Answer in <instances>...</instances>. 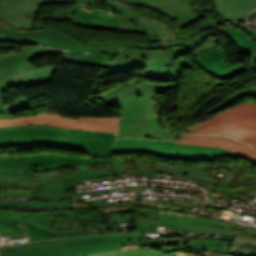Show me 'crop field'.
<instances>
[{
	"instance_id": "16",
	"label": "crop field",
	"mask_w": 256,
	"mask_h": 256,
	"mask_svg": "<svg viewBox=\"0 0 256 256\" xmlns=\"http://www.w3.org/2000/svg\"><path fill=\"white\" fill-rule=\"evenodd\" d=\"M224 22L242 21L256 7V0H213Z\"/></svg>"
},
{
	"instance_id": "45",
	"label": "crop field",
	"mask_w": 256,
	"mask_h": 256,
	"mask_svg": "<svg viewBox=\"0 0 256 256\" xmlns=\"http://www.w3.org/2000/svg\"><path fill=\"white\" fill-rule=\"evenodd\" d=\"M92 256H116V252L106 253V254H99V255H92Z\"/></svg>"
},
{
	"instance_id": "22",
	"label": "crop field",
	"mask_w": 256,
	"mask_h": 256,
	"mask_svg": "<svg viewBox=\"0 0 256 256\" xmlns=\"http://www.w3.org/2000/svg\"><path fill=\"white\" fill-rule=\"evenodd\" d=\"M158 215L159 211L136 208L135 232L156 231Z\"/></svg>"
},
{
	"instance_id": "34",
	"label": "crop field",
	"mask_w": 256,
	"mask_h": 256,
	"mask_svg": "<svg viewBox=\"0 0 256 256\" xmlns=\"http://www.w3.org/2000/svg\"><path fill=\"white\" fill-rule=\"evenodd\" d=\"M169 61H159V62H117L113 64H145L146 69H158L165 66Z\"/></svg>"
},
{
	"instance_id": "13",
	"label": "crop field",
	"mask_w": 256,
	"mask_h": 256,
	"mask_svg": "<svg viewBox=\"0 0 256 256\" xmlns=\"http://www.w3.org/2000/svg\"><path fill=\"white\" fill-rule=\"evenodd\" d=\"M194 58L201 68L214 77L225 74L233 77L248 68L239 62L231 65L228 61L226 53L219 47L210 49ZM239 67H242L243 69L234 73L236 68Z\"/></svg>"
},
{
	"instance_id": "10",
	"label": "crop field",
	"mask_w": 256,
	"mask_h": 256,
	"mask_svg": "<svg viewBox=\"0 0 256 256\" xmlns=\"http://www.w3.org/2000/svg\"><path fill=\"white\" fill-rule=\"evenodd\" d=\"M62 243L67 256L91 255L121 249L125 245H142V234H104L67 239L36 241L27 244L5 245L6 248Z\"/></svg>"
},
{
	"instance_id": "29",
	"label": "crop field",
	"mask_w": 256,
	"mask_h": 256,
	"mask_svg": "<svg viewBox=\"0 0 256 256\" xmlns=\"http://www.w3.org/2000/svg\"><path fill=\"white\" fill-rule=\"evenodd\" d=\"M0 205L14 206V207L72 206L71 203H67V202H21V201H10V200H0Z\"/></svg>"
},
{
	"instance_id": "19",
	"label": "crop field",
	"mask_w": 256,
	"mask_h": 256,
	"mask_svg": "<svg viewBox=\"0 0 256 256\" xmlns=\"http://www.w3.org/2000/svg\"><path fill=\"white\" fill-rule=\"evenodd\" d=\"M0 256H66L61 244H50L36 247L18 249H5L0 251Z\"/></svg>"
},
{
	"instance_id": "32",
	"label": "crop field",
	"mask_w": 256,
	"mask_h": 256,
	"mask_svg": "<svg viewBox=\"0 0 256 256\" xmlns=\"http://www.w3.org/2000/svg\"><path fill=\"white\" fill-rule=\"evenodd\" d=\"M152 9L182 2L184 0H136Z\"/></svg>"
},
{
	"instance_id": "5",
	"label": "crop field",
	"mask_w": 256,
	"mask_h": 256,
	"mask_svg": "<svg viewBox=\"0 0 256 256\" xmlns=\"http://www.w3.org/2000/svg\"><path fill=\"white\" fill-rule=\"evenodd\" d=\"M62 52L63 51L37 47L22 53L9 52L0 54V64L3 67L5 66L7 68L5 70L11 74L0 79V113L14 114L34 108L26 96L5 106L3 95L11 88L18 85L21 89H25L50 83L51 74L58 66H46L35 69L28 60L36 56L54 53L62 54Z\"/></svg>"
},
{
	"instance_id": "1",
	"label": "crop field",
	"mask_w": 256,
	"mask_h": 256,
	"mask_svg": "<svg viewBox=\"0 0 256 256\" xmlns=\"http://www.w3.org/2000/svg\"><path fill=\"white\" fill-rule=\"evenodd\" d=\"M61 3L74 4L69 0H0V33L25 39L31 44L79 52L116 53L124 47L106 41H86L61 30H31L41 5Z\"/></svg>"
},
{
	"instance_id": "6",
	"label": "crop field",
	"mask_w": 256,
	"mask_h": 256,
	"mask_svg": "<svg viewBox=\"0 0 256 256\" xmlns=\"http://www.w3.org/2000/svg\"><path fill=\"white\" fill-rule=\"evenodd\" d=\"M0 187L31 188L41 200H69V194L58 170L33 174L27 156L0 157Z\"/></svg>"
},
{
	"instance_id": "17",
	"label": "crop field",
	"mask_w": 256,
	"mask_h": 256,
	"mask_svg": "<svg viewBox=\"0 0 256 256\" xmlns=\"http://www.w3.org/2000/svg\"><path fill=\"white\" fill-rule=\"evenodd\" d=\"M207 33H198L187 39H180L176 41H171L164 44H156V45H140L139 48H147V49H167L171 60L188 52L199 43H201L204 38L209 34Z\"/></svg>"
},
{
	"instance_id": "31",
	"label": "crop field",
	"mask_w": 256,
	"mask_h": 256,
	"mask_svg": "<svg viewBox=\"0 0 256 256\" xmlns=\"http://www.w3.org/2000/svg\"><path fill=\"white\" fill-rule=\"evenodd\" d=\"M157 249L138 248L117 252V256H156Z\"/></svg>"
},
{
	"instance_id": "36",
	"label": "crop field",
	"mask_w": 256,
	"mask_h": 256,
	"mask_svg": "<svg viewBox=\"0 0 256 256\" xmlns=\"http://www.w3.org/2000/svg\"><path fill=\"white\" fill-rule=\"evenodd\" d=\"M151 136L158 138V139H170V140H176V138H177V135L170 133L161 128L156 130Z\"/></svg>"
},
{
	"instance_id": "9",
	"label": "crop field",
	"mask_w": 256,
	"mask_h": 256,
	"mask_svg": "<svg viewBox=\"0 0 256 256\" xmlns=\"http://www.w3.org/2000/svg\"><path fill=\"white\" fill-rule=\"evenodd\" d=\"M219 150L220 148L186 146L175 144V142L138 139H116L113 146V153H132L136 151L182 160H216Z\"/></svg>"
},
{
	"instance_id": "30",
	"label": "crop field",
	"mask_w": 256,
	"mask_h": 256,
	"mask_svg": "<svg viewBox=\"0 0 256 256\" xmlns=\"http://www.w3.org/2000/svg\"><path fill=\"white\" fill-rule=\"evenodd\" d=\"M218 40H220V38L217 34V30H214V32L206 39V41L203 44H201L200 46H198L196 49L192 51L193 57L210 48H213L219 45Z\"/></svg>"
},
{
	"instance_id": "4",
	"label": "crop field",
	"mask_w": 256,
	"mask_h": 256,
	"mask_svg": "<svg viewBox=\"0 0 256 256\" xmlns=\"http://www.w3.org/2000/svg\"><path fill=\"white\" fill-rule=\"evenodd\" d=\"M116 134L71 129L69 134L46 130L26 129L0 132V147L45 146L86 150L89 157H112L111 144ZM52 137V138H50Z\"/></svg>"
},
{
	"instance_id": "7",
	"label": "crop field",
	"mask_w": 256,
	"mask_h": 256,
	"mask_svg": "<svg viewBox=\"0 0 256 256\" xmlns=\"http://www.w3.org/2000/svg\"><path fill=\"white\" fill-rule=\"evenodd\" d=\"M0 221L27 223L32 241L85 234L77 222L74 210L43 214L0 212Z\"/></svg>"
},
{
	"instance_id": "28",
	"label": "crop field",
	"mask_w": 256,
	"mask_h": 256,
	"mask_svg": "<svg viewBox=\"0 0 256 256\" xmlns=\"http://www.w3.org/2000/svg\"><path fill=\"white\" fill-rule=\"evenodd\" d=\"M0 234L10 235L11 237L28 236V241L31 240L28 226L22 223L0 222Z\"/></svg>"
},
{
	"instance_id": "42",
	"label": "crop field",
	"mask_w": 256,
	"mask_h": 256,
	"mask_svg": "<svg viewBox=\"0 0 256 256\" xmlns=\"http://www.w3.org/2000/svg\"><path fill=\"white\" fill-rule=\"evenodd\" d=\"M251 69H253L256 72V52L252 54L251 56Z\"/></svg>"
},
{
	"instance_id": "26",
	"label": "crop field",
	"mask_w": 256,
	"mask_h": 256,
	"mask_svg": "<svg viewBox=\"0 0 256 256\" xmlns=\"http://www.w3.org/2000/svg\"><path fill=\"white\" fill-rule=\"evenodd\" d=\"M224 36L230 39L231 41L235 40V44L241 49L243 52L251 56V54L256 51V43L250 40L246 35L241 32L223 28L220 29Z\"/></svg>"
},
{
	"instance_id": "43",
	"label": "crop field",
	"mask_w": 256,
	"mask_h": 256,
	"mask_svg": "<svg viewBox=\"0 0 256 256\" xmlns=\"http://www.w3.org/2000/svg\"><path fill=\"white\" fill-rule=\"evenodd\" d=\"M73 1H76V2H79L81 4H84V5H88V6H93L89 0H73Z\"/></svg>"
},
{
	"instance_id": "2",
	"label": "crop field",
	"mask_w": 256,
	"mask_h": 256,
	"mask_svg": "<svg viewBox=\"0 0 256 256\" xmlns=\"http://www.w3.org/2000/svg\"><path fill=\"white\" fill-rule=\"evenodd\" d=\"M173 85L134 81L100 95L108 106L121 105L118 137L147 138L159 128V113H154L151 98L168 92Z\"/></svg>"
},
{
	"instance_id": "38",
	"label": "crop field",
	"mask_w": 256,
	"mask_h": 256,
	"mask_svg": "<svg viewBox=\"0 0 256 256\" xmlns=\"http://www.w3.org/2000/svg\"><path fill=\"white\" fill-rule=\"evenodd\" d=\"M219 156H233V157L244 158V159L249 160V161H256L255 159H252L250 157L244 156V155L239 154V153L231 152V151H228V150H225V149H222V148H221Z\"/></svg>"
},
{
	"instance_id": "40",
	"label": "crop field",
	"mask_w": 256,
	"mask_h": 256,
	"mask_svg": "<svg viewBox=\"0 0 256 256\" xmlns=\"http://www.w3.org/2000/svg\"><path fill=\"white\" fill-rule=\"evenodd\" d=\"M233 26H237V27H239V28L244 29L247 34H249V35L252 36L254 39H256V31H253V30H251V29H249V28H246V27H244V26H242V25H240V24L233 25Z\"/></svg>"
},
{
	"instance_id": "23",
	"label": "crop field",
	"mask_w": 256,
	"mask_h": 256,
	"mask_svg": "<svg viewBox=\"0 0 256 256\" xmlns=\"http://www.w3.org/2000/svg\"><path fill=\"white\" fill-rule=\"evenodd\" d=\"M92 164H81L76 165L78 171L70 176H61L63 180L65 181V184L68 189L73 188L79 180H88L92 178H98V177H104L108 176L106 169H103L102 171H90L88 168Z\"/></svg>"
},
{
	"instance_id": "27",
	"label": "crop field",
	"mask_w": 256,
	"mask_h": 256,
	"mask_svg": "<svg viewBox=\"0 0 256 256\" xmlns=\"http://www.w3.org/2000/svg\"><path fill=\"white\" fill-rule=\"evenodd\" d=\"M104 162H109L108 166H106V169L109 173V175L114 174H127V173H138V172H147L145 169H138L137 171H129L127 172L126 167L123 166L124 162H130V161H146V160H138V159H130V158H112V159H103ZM154 173H148V179H153Z\"/></svg>"
},
{
	"instance_id": "15",
	"label": "crop field",
	"mask_w": 256,
	"mask_h": 256,
	"mask_svg": "<svg viewBox=\"0 0 256 256\" xmlns=\"http://www.w3.org/2000/svg\"><path fill=\"white\" fill-rule=\"evenodd\" d=\"M33 172L65 167L81 163H103L102 159H82L51 154H39L29 156Z\"/></svg>"
},
{
	"instance_id": "24",
	"label": "crop field",
	"mask_w": 256,
	"mask_h": 256,
	"mask_svg": "<svg viewBox=\"0 0 256 256\" xmlns=\"http://www.w3.org/2000/svg\"><path fill=\"white\" fill-rule=\"evenodd\" d=\"M172 68H163L159 71H146V75L158 80H176L179 78L182 69L192 66L185 59L172 61Z\"/></svg>"
},
{
	"instance_id": "21",
	"label": "crop field",
	"mask_w": 256,
	"mask_h": 256,
	"mask_svg": "<svg viewBox=\"0 0 256 256\" xmlns=\"http://www.w3.org/2000/svg\"><path fill=\"white\" fill-rule=\"evenodd\" d=\"M112 58L113 56L105 55L102 53H93L85 55L66 52L63 60L109 68Z\"/></svg>"
},
{
	"instance_id": "46",
	"label": "crop field",
	"mask_w": 256,
	"mask_h": 256,
	"mask_svg": "<svg viewBox=\"0 0 256 256\" xmlns=\"http://www.w3.org/2000/svg\"><path fill=\"white\" fill-rule=\"evenodd\" d=\"M0 118H14L13 115H0Z\"/></svg>"
},
{
	"instance_id": "25",
	"label": "crop field",
	"mask_w": 256,
	"mask_h": 256,
	"mask_svg": "<svg viewBox=\"0 0 256 256\" xmlns=\"http://www.w3.org/2000/svg\"><path fill=\"white\" fill-rule=\"evenodd\" d=\"M228 253L256 256V239L236 235Z\"/></svg>"
},
{
	"instance_id": "41",
	"label": "crop field",
	"mask_w": 256,
	"mask_h": 256,
	"mask_svg": "<svg viewBox=\"0 0 256 256\" xmlns=\"http://www.w3.org/2000/svg\"><path fill=\"white\" fill-rule=\"evenodd\" d=\"M104 1H108V0H104ZM118 1H122V2H124V3L129 4V5L136 6V7L143 8V9H146V8L142 7L141 5L137 4L136 2H134L133 0H118Z\"/></svg>"
},
{
	"instance_id": "3",
	"label": "crop field",
	"mask_w": 256,
	"mask_h": 256,
	"mask_svg": "<svg viewBox=\"0 0 256 256\" xmlns=\"http://www.w3.org/2000/svg\"><path fill=\"white\" fill-rule=\"evenodd\" d=\"M115 11L113 16L100 10H84L86 6L75 3L66 10H53L50 15L41 18L53 17L57 19H72V22L81 26L106 31H123L147 35L155 41L166 42L173 38L170 30L162 23L143 17L129 7L116 2L108 3Z\"/></svg>"
},
{
	"instance_id": "20",
	"label": "crop field",
	"mask_w": 256,
	"mask_h": 256,
	"mask_svg": "<svg viewBox=\"0 0 256 256\" xmlns=\"http://www.w3.org/2000/svg\"><path fill=\"white\" fill-rule=\"evenodd\" d=\"M156 10L161 11L176 19L181 28L202 19L192 10L191 0H186L182 3Z\"/></svg>"
},
{
	"instance_id": "44",
	"label": "crop field",
	"mask_w": 256,
	"mask_h": 256,
	"mask_svg": "<svg viewBox=\"0 0 256 256\" xmlns=\"http://www.w3.org/2000/svg\"><path fill=\"white\" fill-rule=\"evenodd\" d=\"M7 75H9V73H7V72L3 69V67L0 65V78L5 77V76H7Z\"/></svg>"
},
{
	"instance_id": "39",
	"label": "crop field",
	"mask_w": 256,
	"mask_h": 256,
	"mask_svg": "<svg viewBox=\"0 0 256 256\" xmlns=\"http://www.w3.org/2000/svg\"><path fill=\"white\" fill-rule=\"evenodd\" d=\"M1 26V25H0ZM0 42H11V43H28L25 40H21V39H17V38H13V37H9V36H5V35H1L0 34Z\"/></svg>"
},
{
	"instance_id": "18",
	"label": "crop field",
	"mask_w": 256,
	"mask_h": 256,
	"mask_svg": "<svg viewBox=\"0 0 256 256\" xmlns=\"http://www.w3.org/2000/svg\"><path fill=\"white\" fill-rule=\"evenodd\" d=\"M170 60L166 50L128 49L115 55L112 62L117 61H159ZM171 61V60H170Z\"/></svg>"
},
{
	"instance_id": "14",
	"label": "crop field",
	"mask_w": 256,
	"mask_h": 256,
	"mask_svg": "<svg viewBox=\"0 0 256 256\" xmlns=\"http://www.w3.org/2000/svg\"><path fill=\"white\" fill-rule=\"evenodd\" d=\"M186 141L176 142L187 145H204L213 147H223L232 151L242 153L256 159V149H253L235 139L221 135H201V134H179Z\"/></svg>"
},
{
	"instance_id": "12",
	"label": "crop field",
	"mask_w": 256,
	"mask_h": 256,
	"mask_svg": "<svg viewBox=\"0 0 256 256\" xmlns=\"http://www.w3.org/2000/svg\"><path fill=\"white\" fill-rule=\"evenodd\" d=\"M158 224H166V230L178 231H226L241 234H256V229L247 230L237 228L232 224L211 218L196 216V218H183L178 216L160 214Z\"/></svg>"
},
{
	"instance_id": "37",
	"label": "crop field",
	"mask_w": 256,
	"mask_h": 256,
	"mask_svg": "<svg viewBox=\"0 0 256 256\" xmlns=\"http://www.w3.org/2000/svg\"><path fill=\"white\" fill-rule=\"evenodd\" d=\"M200 255H203V256H232V255H224V254H220V253H208V252H203ZM158 256H195V255H191V254H187V253H160V252H158Z\"/></svg>"
},
{
	"instance_id": "8",
	"label": "crop field",
	"mask_w": 256,
	"mask_h": 256,
	"mask_svg": "<svg viewBox=\"0 0 256 256\" xmlns=\"http://www.w3.org/2000/svg\"><path fill=\"white\" fill-rule=\"evenodd\" d=\"M186 131L227 134L256 147V104L249 100Z\"/></svg>"
},
{
	"instance_id": "35",
	"label": "crop field",
	"mask_w": 256,
	"mask_h": 256,
	"mask_svg": "<svg viewBox=\"0 0 256 256\" xmlns=\"http://www.w3.org/2000/svg\"><path fill=\"white\" fill-rule=\"evenodd\" d=\"M133 68H144V65H114L109 68L107 75L128 71Z\"/></svg>"
},
{
	"instance_id": "11",
	"label": "crop field",
	"mask_w": 256,
	"mask_h": 256,
	"mask_svg": "<svg viewBox=\"0 0 256 256\" xmlns=\"http://www.w3.org/2000/svg\"><path fill=\"white\" fill-rule=\"evenodd\" d=\"M47 124L97 132L117 133L119 118H85L78 121L50 114H39L19 119H0V127L22 124Z\"/></svg>"
},
{
	"instance_id": "33",
	"label": "crop field",
	"mask_w": 256,
	"mask_h": 256,
	"mask_svg": "<svg viewBox=\"0 0 256 256\" xmlns=\"http://www.w3.org/2000/svg\"><path fill=\"white\" fill-rule=\"evenodd\" d=\"M26 128H46V129H52V130L66 132V133H68L69 130H70V129H65V128H62V127L34 124V125H22V126H14V127H4V128H0V131L26 129Z\"/></svg>"
},
{
	"instance_id": "47",
	"label": "crop field",
	"mask_w": 256,
	"mask_h": 256,
	"mask_svg": "<svg viewBox=\"0 0 256 256\" xmlns=\"http://www.w3.org/2000/svg\"><path fill=\"white\" fill-rule=\"evenodd\" d=\"M133 247H141V246H125V247H122V249H125V248H133Z\"/></svg>"
}]
</instances>
